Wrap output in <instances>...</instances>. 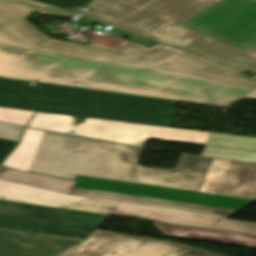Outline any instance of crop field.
Listing matches in <instances>:
<instances>
[{"mask_svg": "<svg viewBox=\"0 0 256 256\" xmlns=\"http://www.w3.org/2000/svg\"><path fill=\"white\" fill-rule=\"evenodd\" d=\"M45 3L53 4L72 11H79L89 4L92 0H38Z\"/></svg>", "mask_w": 256, "mask_h": 256, "instance_id": "obj_21", "label": "crop field"}, {"mask_svg": "<svg viewBox=\"0 0 256 256\" xmlns=\"http://www.w3.org/2000/svg\"><path fill=\"white\" fill-rule=\"evenodd\" d=\"M43 133V131L26 128L20 144L2 165L28 172Z\"/></svg>", "mask_w": 256, "mask_h": 256, "instance_id": "obj_16", "label": "crop field"}, {"mask_svg": "<svg viewBox=\"0 0 256 256\" xmlns=\"http://www.w3.org/2000/svg\"><path fill=\"white\" fill-rule=\"evenodd\" d=\"M200 156L256 162V153L204 147Z\"/></svg>", "mask_w": 256, "mask_h": 256, "instance_id": "obj_19", "label": "crop field"}, {"mask_svg": "<svg viewBox=\"0 0 256 256\" xmlns=\"http://www.w3.org/2000/svg\"><path fill=\"white\" fill-rule=\"evenodd\" d=\"M34 11L72 16V13L31 0H0V43L256 88V77H243V71L159 43L146 48L128 41L118 49L110 50L50 39L25 20L24 17Z\"/></svg>", "mask_w": 256, "mask_h": 256, "instance_id": "obj_2", "label": "crop field"}, {"mask_svg": "<svg viewBox=\"0 0 256 256\" xmlns=\"http://www.w3.org/2000/svg\"><path fill=\"white\" fill-rule=\"evenodd\" d=\"M34 112L0 108V120L26 126Z\"/></svg>", "mask_w": 256, "mask_h": 256, "instance_id": "obj_20", "label": "crop field"}, {"mask_svg": "<svg viewBox=\"0 0 256 256\" xmlns=\"http://www.w3.org/2000/svg\"><path fill=\"white\" fill-rule=\"evenodd\" d=\"M206 145L256 151V138L212 133Z\"/></svg>", "mask_w": 256, "mask_h": 256, "instance_id": "obj_18", "label": "crop field"}, {"mask_svg": "<svg viewBox=\"0 0 256 256\" xmlns=\"http://www.w3.org/2000/svg\"><path fill=\"white\" fill-rule=\"evenodd\" d=\"M81 244H82V243H81ZM81 244H79V245H77V246H75V247H73V248H71V249H69V250H67V251H65V252H63V253L57 255V256H69V255H70L76 248H78Z\"/></svg>", "mask_w": 256, "mask_h": 256, "instance_id": "obj_25", "label": "crop field"}, {"mask_svg": "<svg viewBox=\"0 0 256 256\" xmlns=\"http://www.w3.org/2000/svg\"><path fill=\"white\" fill-rule=\"evenodd\" d=\"M152 222V221H151ZM164 235L256 248V236L154 222Z\"/></svg>", "mask_w": 256, "mask_h": 256, "instance_id": "obj_15", "label": "crop field"}, {"mask_svg": "<svg viewBox=\"0 0 256 256\" xmlns=\"http://www.w3.org/2000/svg\"><path fill=\"white\" fill-rule=\"evenodd\" d=\"M28 126L43 130L67 133L69 130L74 131L77 125L73 124L72 116L37 112Z\"/></svg>", "mask_w": 256, "mask_h": 256, "instance_id": "obj_17", "label": "crop field"}, {"mask_svg": "<svg viewBox=\"0 0 256 256\" xmlns=\"http://www.w3.org/2000/svg\"><path fill=\"white\" fill-rule=\"evenodd\" d=\"M220 0H93L83 15L179 49L204 37L182 23Z\"/></svg>", "mask_w": 256, "mask_h": 256, "instance_id": "obj_6", "label": "crop field"}, {"mask_svg": "<svg viewBox=\"0 0 256 256\" xmlns=\"http://www.w3.org/2000/svg\"><path fill=\"white\" fill-rule=\"evenodd\" d=\"M0 180L65 194L229 216L254 201L78 176L75 182L5 169Z\"/></svg>", "mask_w": 256, "mask_h": 256, "instance_id": "obj_5", "label": "crop field"}, {"mask_svg": "<svg viewBox=\"0 0 256 256\" xmlns=\"http://www.w3.org/2000/svg\"><path fill=\"white\" fill-rule=\"evenodd\" d=\"M3 169H4V167H0V171L3 170Z\"/></svg>", "mask_w": 256, "mask_h": 256, "instance_id": "obj_27", "label": "crop field"}, {"mask_svg": "<svg viewBox=\"0 0 256 256\" xmlns=\"http://www.w3.org/2000/svg\"><path fill=\"white\" fill-rule=\"evenodd\" d=\"M70 256H216L182 244L96 230Z\"/></svg>", "mask_w": 256, "mask_h": 256, "instance_id": "obj_10", "label": "crop field"}, {"mask_svg": "<svg viewBox=\"0 0 256 256\" xmlns=\"http://www.w3.org/2000/svg\"><path fill=\"white\" fill-rule=\"evenodd\" d=\"M24 128L0 123V138L18 141Z\"/></svg>", "mask_w": 256, "mask_h": 256, "instance_id": "obj_22", "label": "crop field"}, {"mask_svg": "<svg viewBox=\"0 0 256 256\" xmlns=\"http://www.w3.org/2000/svg\"><path fill=\"white\" fill-rule=\"evenodd\" d=\"M183 25L246 51L256 45V0H222Z\"/></svg>", "mask_w": 256, "mask_h": 256, "instance_id": "obj_9", "label": "crop field"}, {"mask_svg": "<svg viewBox=\"0 0 256 256\" xmlns=\"http://www.w3.org/2000/svg\"><path fill=\"white\" fill-rule=\"evenodd\" d=\"M18 142L0 139V163L13 150Z\"/></svg>", "mask_w": 256, "mask_h": 256, "instance_id": "obj_24", "label": "crop field"}, {"mask_svg": "<svg viewBox=\"0 0 256 256\" xmlns=\"http://www.w3.org/2000/svg\"><path fill=\"white\" fill-rule=\"evenodd\" d=\"M0 78V107L170 127L177 101Z\"/></svg>", "mask_w": 256, "mask_h": 256, "instance_id": "obj_4", "label": "crop field"}, {"mask_svg": "<svg viewBox=\"0 0 256 256\" xmlns=\"http://www.w3.org/2000/svg\"><path fill=\"white\" fill-rule=\"evenodd\" d=\"M81 242L0 229V256H55Z\"/></svg>", "mask_w": 256, "mask_h": 256, "instance_id": "obj_13", "label": "crop field"}, {"mask_svg": "<svg viewBox=\"0 0 256 256\" xmlns=\"http://www.w3.org/2000/svg\"><path fill=\"white\" fill-rule=\"evenodd\" d=\"M144 149L45 131L29 171L77 175L197 192L213 159L182 155L175 170L136 165Z\"/></svg>", "mask_w": 256, "mask_h": 256, "instance_id": "obj_3", "label": "crop field"}, {"mask_svg": "<svg viewBox=\"0 0 256 256\" xmlns=\"http://www.w3.org/2000/svg\"><path fill=\"white\" fill-rule=\"evenodd\" d=\"M0 199L256 235V223L137 204L117 203L65 195L5 181H0Z\"/></svg>", "mask_w": 256, "mask_h": 256, "instance_id": "obj_7", "label": "crop field"}, {"mask_svg": "<svg viewBox=\"0 0 256 256\" xmlns=\"http://www.w3.org/2000/svg\"><path fill=\"white\" fill-rule=\"evenodd\" d=\"M183 50L256 74V46L244 52L207 36Z\"/></svg>", "mask_w": 256, "mask_h": 256, "instance_id": "obj_14", "label": "crop field"}, {"mask_svg": "<svg viewBox=\"0 0 256 256\" xmlns=\"http://www.w3.org/2000/svg\"><path fill=\"white\" fill-rule=\"evenodd\" d=\"M255 199H256V197H255Z\"/></svg>", "mask_w": 256, "mask_h": 256, "instance_id": "obj_28", "label": "crop field"}, {"mask_svg": "<svg viewBox=\"0 0 256 256\" xmlns=\"http://www.w3.org/2000/svg\"><path fill=\"white\" fill-rule=\"evenodd\" d=\"M113 33H116L120 36H123L133 42H136V43H139L141 45H144L146 47H151L153 45H155L156 43L155 42H152V41H149L147 39H144V38H141V37H138V36H135V35H132V34H129V33H126V32H123V31H120V30H117V29H114L112 28L111 30H109Z\"/></svg>", "mask_w": 256, "mask_h": 256, "instance_id": "obj_23", "label": "crop field"}, {"mask_svg": "<svg viewBox=\"0 0 256 256\" xmlns=\"http://www.w3.org/2000/svg\"><path fill=\"white\" fill-rule=\"evenodd\" d=\"M247 98L256 99V91H254L253 93H251L250 95H248Z\"/></svg>", "mask_w": 256, "mask_h": 256, "instance_id": "obj_26", "label": "crop field"}, {"mask_svg": "<svg viewBox=\"0 0 256 256\" xmlns=\"http://www.w3.org/2000/svg\"><path fill=\"white\" fill-rule=\"evenodd\" d=\"M109 215L0 200V228L84 240Z\"/></svg>", "mask_w": 256, "mask_h": 256, "instance_id": "obj_8", "label": "crop field"}, {"mask_svg": "<svg viewBox=\"0 0 256 256\" xmlns=\"http://www.w3.org/2000/svg\"><path fill=\"white\" fill-rule=\"evenodd\" d=\"M0 76L228 106L253 88L0 44Z\"/></svg>", "mask_w": 256, "mask_h": 256, "instance_id": "obj_1", "label": "crop field"}, {"mask_svg": "<svg viewBox=\"0 0 256 256\" xmlns=\"http://www.w3.org/2000/svg\"><path fill=\"white\" fill-rule=\"evenodd\" d=\"M75 135L144 146L148 138L205 145L210 133L86 118Z\"/></svg>", "mask_w": 256, "mask_h": 256, "instance_id": "obj_11", "label": "crop field"}, {"mask_svg": "<svg viewBox=\"0 0 256 256\" xmlns=\"http://www.w3.org/2000/svg\"><path fill=\"white\" fill-rule=\"evenodd\" d=\"M198 192L254 199L256 164L214 159Z\"/></svg>", "mask_w": 256, "mask_h": 256, "instance_id": "obj_12", "label": "crop field"}]
</instances>
